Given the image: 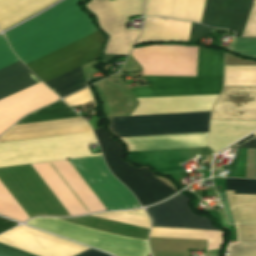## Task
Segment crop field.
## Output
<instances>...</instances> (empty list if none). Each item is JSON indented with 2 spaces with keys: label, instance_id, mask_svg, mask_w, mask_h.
Masks as SVG:
<instances>
[{
  "label": "crop field",
  "instance_id": "obj_1",
  "mask_svg": "<svg viewBox=\"0 0 256 256\" xmlns=\"http://www.w3.org/2000/svg\"><path fill=\"white\" fill-rule=\"evenodd\" d=\"M217 95L137 99L131 115L211 110ZM211 111L108 117L117 137L208 132ZM129 151L208 147V133L120 138Z\"/></svg>",
  "mask_w": 256,
  "mask_h": 256
},
{
  "label": "crop field",
  "instance_id": "obj_2",
  "mask_svg": "<svg viewBox=\"0 0 256 256\" xmlns=\"http://www.w3.org/2000/svg\"><path fill=\"white\" fill-rule=\"evenodd\" d=\"M92 131L81 118H69L11 127L0 143ZM92 132L0 144V167L91 156L87 144Z\"/></svg>",
  "mask_w": 256,
  "mask_h": 256
},
{
  "label": "crop field",
  "instance_id": "obj_3",
  "mask_svg": "<svg viewBox=\"0 0 256 256\" xmlns=\"http://www.w3.org/2000/svg\"><path fill=\"white\" fill-rule=\"evenodd\" d=\"M78 1L65 0L5 33L10 47L24 64L96 31Z\"/></svg>",
  "mask_w": 256,
  "mask_h": 256
},
{
  "label": "crop field",
  "instance_id": "obj_4",
  "mask_svg": "<svg viewBox=\"0 0 256 256\" xmlns=\"http://www.w3.org/2000/svg\"><path fill=\"white\" fill-rule=\"evenodd\" d=\"M69 216L106 210L68 160L31 165ZM0 215L29 219L0 182Z\"/></svg>",
  "mask_w": 256,
  "mask_h": 256
},
{
  "label": "crop field",
  "instance_id": "obj_5",
  "mask_svg": "<svg viewBox=\"0 0 256 256\" xmlns=\"http://www.w3.org/2000/svg\"><path fill=\"white\" fill-rule=\"evenodd\" d=\"M223 55L198 48L197 77L142 76L149 86L129 91L135 98L220 94Z\"/></svg>",
  "mask_w": 256,
  "mask_h": 256
},
{
  "label": "crop field",
  "instance_id": "obj_6",
  "mask_svg": "<svg viewBox=\"0 0 256 256\" xmlns=\"http://www.w3.org/2000/svg\"><path fill=\"white\" fill-rule=\"evenodd\" d=\"M40 82L25 66L16 62L0 69V99ZM58 100L41 82L0 100V134L20 117Z\"/></svg>",
  "mask_w": 256,
  "mask_h": 256
},
{
  "label": "crop field",
  "instance_id": "obj_7",
  "mask_svg": "<svg viewBox=\"0 0 256 256\" xmlns=\"http://www.w3.org/2000/svg\"><path fill=\"white\" fill-rule=\"evenodd\" d=\"M102 149L105 161L114 176L135 195L141 206L159 202L176 193L164 182L155 178L147 168L136 167L122 162L124 156L121 145L103 129L93 131Z\"/></svg>",
  "mask_w": 256,
  "mask_h": 256
},
{
  "label": "crop field",
  "instance_id": "obj_8",
  "mask_svg": "<svg viewBox=\"0 0 256 256\" xmlns=\"http://www.w3.org/2000/svg\"><path fill=\"white\" fill-rule=\"evenodd\" d=\"M26 224L103 249L117 256H148L147 241L108 234L56 218H38Z\"/></svg>",
  "mask_w": 256,
  "mask_h": 256
},
{
  "label": "crop field",
  "instance_id": "obj_9",
  "mask_svg": "<svg viewBox=\"0 0 256 256\" xmlns=\"http://www.w3.org/2000/svg\"><path fill=\"white\" fill-rule=\"evenodd\" d=\"M142 5L143 0H91L86 7L97 16L103 29L125 23L128 15L142 14ZM125 24L103 29L110 36L104 54H128L139 30L127 29Z\"/></svg>",
  "mask_w": 256,
  "mask_h": 256
},
{
  "label": "crop field",
  "instance_id": "obj_10",
  "mask_svg": "<svg viewBox=\"0 0 256 256\" xmlns=\"http://www.w3.org/2000/svg\"><path fill=\"white\" fill-rule=\"evenodd\" d=\"M69 161L107 210L140 207L131 192L110 174L101 156Z\"/></svg>",
  "mask_w": 256,
  "mask_h": 256
},
{
  "label": "crop field",
  "instance_id": "obj_11",
  "mask_svg": "<svg viewBox=\"0 0 256 256\" xmlns=\"http://www.w3.org/2000/svg\"><path fill=\"white\" fill-rule=\"evenodd\" d=\"M131 55L143 75L196 76L197 47L148 46L133 49Z\"/></svg>",
  "mask_w": 256,
  "mask_h": 256
},
{
  "label": "crop field",
  "instance_id": "obj_12",
  "mask_svg": "<svg viewBox=\"0 0 256 256\" xmlns=\"http://www.w3.org/2000/svg\"><path fill=\"white\" fill-rule=\"evenodd\" d=\"M103 37L94 33L26 64L43 82L79 65L96 60Z\"/></svg>",
  "mask_w": 256,
  "mask_h": 256
},
{
  "label": "crop field",
  "instance_id": "obj_13",
  "mask_svg": "<svg viewBox=\"0 0 256 256\" xmlns=\"http://www.w3.org/2000/svg\"><path fill=\"white\" fill-rule=\"evenodd\" d=\"M188 202V197L177 195L161 204L148 207L146 211L151 217L152 226L218 230L209 219L194 215Z\"/></svg>",
  "mask_w": 256,
  "mask_h": 256
},
{
  "label": "crop field",
  "instance_id": "obj_14",
  "mask_svg": "<svg viewBox=\"0 0 256 256\" xmlns=\"http://www.w3.org/2000/svg\"><path fill=\"white\" fill-rule=\"evenodd\" d=\"M211 120H256V87H224Z\"/></svg>",
  "mask_w": 256,
  "mask_h": 256
},
{
  "label": "crop field",
  "instance_id": "obj_15",
  "mask_svg": "<svg viewBox=\"0 0 256 256\" xmlns=\"http://www.w3.org/2000/svg\"><path fill=\"white\" fill-rule=\"evenodd\" d=\"M252 0H206L201 23L232 29L241 36Z\"/></svg>",
  "mask_w": 256,
  "mask_h": 256
},
{
  "label": "crop field",
  "instance_id": "obj_16",
  "mask_svg": "<svg viewBox=\"0 0 256 256\" xmlns=\"http://www.w3.org/2000/svg\"><path fill=\"white\" fill-rule=\"evenodd\" d=\"M205 0H145L147 16L158 15L182 20L200 22Z\"/></svg>",
  "mask_w": 256,
  "mask_h": 256
},
{
  "label": "crop field",
  "instance_id": "obj_17",
  "mask_svg": "<svg viewBox=\"0 0 256 256\" xmlns=\"http://www.w3.org/2000/svg\"><path fill=\"white\" fill-rule=\"evenodd\" d=\"M190 25L191 23L188 22H181L168 18H146L143 31L136 44L152 40L188 41Z\"/></svg>",
  "mask_w": 256,
  "mask_h": 256
},
{
  "label": "crop field",
  "instance_id": "obj_18",
  "mask_svg": "<svg viewBox=\"0 0 256 256\" xmlns=\"http://www.w3.org/2000/svg\"><path fill=\"white\" fill-rule=\"evenodd\" d=\"M256 129V121H211L209 147L216 153Z\"/></svg>",
  "mask_w": 256,
  "mask_h": 256
},
{
  "label": "crop field",
  "instance_id": "obj_19",
  "mask_svg": "<svg viewBox=\"0 0 256 256\" xmlns=\"http://www.w3.org/2000/svg\"><path fill=\"white\" fill-rule=\"evenodd\" d=\"M57 0H0V29L41 11Z\"/></svg>",
  "mask_w": 256,
  "mask_h": 256
},
{
  "label": "crop field",
  "instance_id": "obj_20",
  "mask_svg": "<svg viewBox=\"0 0 256 256\" xmlns=\"http://www.w3.org/2000/svg\"><path fill=\"white\" fill-rule=\"evenodd\" d=\"M234 224L256 223V196L225 191Z\"/></svg>",
  "mask_w": 256,
  "mask_h": 256
},
{
  "label": "crop field",
  "instance_id": "obj_21",
  "mask_svg": "<svg viewBox=\"0 0 256 256\" xmlns=\"http://www.w3.org/2000/svg\"><path fill=\"white\" fill-rule=\"evenodd\" d=\"M45 83L61 98L86 87L80 66Z\"/></svg>",
  "mask_w": 256,
  "mask_h": 256
},
{
  "label": "crop field",
  "instance_id": "obj_22",
  "mask_svg": "<svg viewBox=\"0 0 256 256\" xmlns=\"http://www.w3.org/2000/svg\"><path fill=\"white\" fill-rule=\"evenodd\" d=\"M77 116L79 115H77L73 110H71L68 106H66L62 101H57L37 112H34L26 116L17 124H25V123L40 122V121H47V120H54V119L77 117Z\"/></svg>",
  "mask_w": 256,
  "mask_h": 256
},
{
  "label": "crop field",
  "instance_id": "obj_23",
  "mask_svg": "<svg viewBox=\"0 0 256 256\" xmlns=\"http://www.w3.org/2000/svg\"><path fill=\"white\" fill-rule=\"evenodd\" d=\"M224 86H256V66H225Z\"/></svg>",
  "mask_w": 256,
  "mask_h": 256
},
{
  "label": "crop field",
  "instance_id": "obj_24",
  "mask_svg": "<svg viewBox=\"0 0 256 256\" xmlns=\"http://www.w3.org/2000/svg\"><path fill=\"white\" fill-rule=\"evenodd\" d=\"M91 216L150 228L149 217L143 210L110 212V213L95 214Z\"/></svg>",
  "mask_w": 256,
  "mask_h": 256
},
{
  "label": "crop field",
  "instance_id": "obj_25",
  "mask_svg": "<svg viewBox=\"0 0 256 256\" xmlns=\"http://www.w3.org/2000/svg\"><path fill=\"white\" fill-rule=\"evenodd\" d=\"M228 49L242 55L256 58V38H236L229 45Z\"/></svg>",
  "mask_w": 256,
  "mask_h": 256
},
{
  "label": "crop field",
  "instance_id": "obj_26",
  "mask_svg": "<svg viewBox=\"0 0 256 256\" xmlns=\"http://www.w3.org/2000/svg\"><path fill=\"white\" fill-rule=\"evenodd\" d=\"M226 190H235V193L256 194V180L226 179Z\"/></svg>",
  "mask_w": 256,
  "mask_h": 256
},
{
  "label": "crop field",
  "instance_id": "obj_27",
  "mask_svg": "<svg viewBox=\"0 0 256 256\" xmlns=\"http://www.w3.org/2000/svg\"><path fill=\"white\" fill-rule=\"evenodd\" d=\"M16 61H18V59L8 47L4 37L0 35V68L12 64Z\"/></svg>",
  "mask_w": 256,
  "mask_h": 256
},
{
  "label": "crop field",
  "instance_id": "obj_28",
  "mask_svg": "<svg viewBox=\"0 0 256 256\" xmlns=\"http://www.w3.org/2000/svg\"><path fill=\"white\" fill-rule=\"evenodd\" d=\"M237 241L256 240V225L234 226Z\"/></svg>",
  "mask_w": 256,
  "mask_h": 256
},
{
  "label": "crop field",
  "instance_id": "obj_29",
  "mask_svg": "<svg viewBox=\"0 0 256 256\" xmlns=\"http://www.w3.org/2000/svg\"><path fill=\"white\" fill-rule=\"evenodd\" d=\"M242 36L256 37V0L253 1Z\"/></svg>",
  "mask_w": 256,
  "mask_h": 256
},
{
  "label": "crop field",
  "instance_id": "obj_30",
  "mask_svg": "<svg viewBox=\"0 0 256 256\" xmlns=\"http://www.w3.org/2000/svg\"><path fill=\"white\" fill-rule=\"evenodd\" d=\"M222 232L208 231L205 251L221 248Z\"/></svg>",
  "mask_w": 256,
  "mask_h": 256
},
{
  "label": "crop field",
  "instance_id": "obj_31",
  "mask_svg": "<svg viewBox=\"0 0 256 256\" xmlns=\"http://www.w3.org/2000/svg\"><path fill=\"white\" fill-rule=\"evenodd\" d=\"M210 29L206 26L192 23L190 37L193 38H205L208 37Z\"/></svg>",
  "mask_w": 256,
  "mask_h": 256
},
{
  "label": "crop field",
  "instance_id": "obj_32",
  "mask_svg": "<svg viewBox=\"0 0 256 256\" xmlns=\"http://www.w3.org/2000/svg\"><path fill=\"white\" fill-rule=\"evenodd\" d=\"M0 256H34L0 244Z\"/></svg>",
  "mask_w": 256,
  "mask_h": 256
},
{
  "label": "crop field",
  "instance_id": "obj_33",
  "mask_svg": "<svg viewBox=\"0 0 256 256\" xmlns=\"http://www.w3.org/2000/svg\"><path fill=\"white\" fill-rule=\"evenodd\" d=\"M231 147L256 148V134L245 138L244 140L232 145Z\"/></svg>",
  "mask_w": 256,
  "mask_h": 256
},
{
  "label": "crop field",
  "instance_id": "obj_34",
  "mask_svg": "<svg viewBox=\"0 0 256 256\" xmlns=\"http://www.w3.org/2000/svg\"><path fill=\"white\" fill-rule=\"evenodd\" d=\"M16 223L0 218V233L13 227Z\"/></svg>",
  "mask_w": 256,
  "mask_h": 256
},
{
  "label": "crop field",
  "instance_id": "obj_35",
  "mask_svg": "<svg viewBox=\"0 0 256 256\" xmlns=\"http://www.w3.org/2000/svg\"><path fill=\"white\" fill-rule=\"evenodd\" d=\"M76 256H108V255H105L101 252H98V251H94V250H91V249H88Z\"/></svg>",
  "mask_w": 256,
  "mask_h": 256
}]
</instances>
